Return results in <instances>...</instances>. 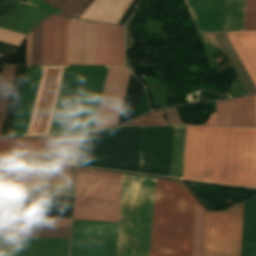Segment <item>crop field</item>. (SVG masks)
I'll return each instance as SVG.
<instances>
[{"instance_id":"1","label":"crop field","mask_w":256,"mask_h":256,"mask_svg":"<svg viewBox=\"0 0 256 256\" xmlns=\"http://www.w3.org/2000/svg\"><path fill=\"white\" fill-rule=\"evenodd\" d=\"M182 179L256 187V129L187 126Z\"/></svg>"},{"instance_id":"2","label":"crop field","mask_w":256,"mask_h":256,"mask_svg":"<svg viewBox=\"0 0 256 256\" xmlns=\"http://www.w3.org/2000/svg\"><path fill=\"white\" fill-rule=\"evenodd\" d=\"M194 206L182 183L156 179L149 256H191Z\"/></svg>"},{"instance_id":"3","label":"crop field","mask_w":256,"mask_h":256,"mask_svg":"<svg viewBox=\"0 0 256 256\" xmlns=\"http://www.w3.org/2000/svg\"><path fill=\"white\" fill-rule=\"evenodd\" d=\"M108 66H66L49 136L93 130Z\"/></svg>"},{"instance_id":"4","label":"crop field","mask_w":256,"mask_h":256,"mask_svg":"<svg viewBox=\"0 0 256 256\" xmlns=\"http://www.w3.org/2000/svg\"><path fill=\"white\" fill-rule=\"evenodd\" d=\"M154 184L123 174L116 256H148Z\"/></svg>"},{"instance_id":"5","label":"crop field","mask_w":256,"mask_h":256,"mask_svg":"<svg viewBox=\"0 0 256 256\" xmlns=\"http://www.w3.org/2000/svg\"><path fill=\"white\" fill-rule=\"evenodd\" d=\"M122 174L77 168L73 219L118 222Z\"/></svg>"},{"instance_id":"6","label":"crop field","mask_w":256,"mask_h":256,"mask_svg":"<svg viewBox=\"0 0 256 256\" xmlns=\"http://www.w3.org/2000/svg\"><path fill=\"white\" fill-rule=\"evenodd\" d=\"M141 127L114 128L80 139L78 164L138 172Z\"/></svg>"},{"instance_id":"7","label":"crop field","mask_w":256,"mask_h":256,"mask_svg":"<svg viewBox=\"0 0 256 256\" xmlns=\"http://www.w3.org/2000/svg\"><path fill=\"white\" fill-rule=\"evenodd\" d=\"M77 139L30 140L0 138L2 155L76 156ZM0 163L75 165L76 157L2 156Z\"/></svg>"},{"instance_id":"8","label":"crop field","mask_w":256,"mask_h":256,"mask_svg":"<svg viewBox=\"0 0 256 256\" xmlns=\"http://www.w3.org/2000/svg\"><path fill=\"white\" fill-rule=\"evenodd\" d=\"M244 202L221 212L207 211L204 256H239Z\"/></svg>"},{"instance_id":"9","label":"crop field","mask_w":256,"mask_h":256,"mask_svg":"<svg viewBox=\"0 0 256 256\" xmlns=\"http://www.w3.org/2000/svg\"><path fill=\"white\" fill-rule=\"evenodd\" d=\"M201 32L243 30L245 0H185Z\"/></svg>"},{"instance_id":"10","label":"crop field","mask_w":256,"mask_h":256,"mask_svg":"<svg viewBox=\"0 0 256 256\" xmlns=\"http://www.w3.org/2000/svg\"><path fill=\"white\" fill-rule=\"evenodd\" d=\"M174 126L142 127L139 172L170 177Z\"/></svg>"},{"instance_id":"11","label":"crop field","mask_w":256,"mask_h":256,"mask_svg":"<svg viewBox=\"0 0 256 256\" xmlns=\"http://www.w3.org/2000/svg\"><path fill=\"white\" fill-rule=\"evenodd\" d=\"M118 224L73 221L70 256H115Z\"/></svg>"},{"instance_id":"12","label":"crop field","mask_w":256,"mask_h":256,"mask_svg":"<svg viewBox=\"0 0 256 256\" xmlns=\"http://www.w3.org/2000/svg\"><path fill=\"white\" fill-rule=\"evenodd\" d=\"M64 67H43L27 135H48Z\"/></svg>"},{"instance_id":"13","label":"crop field","mask_w":256,"mask_h":256,"mask_svg":"<svg viewBox=\"0 0 256 256\" xmlns=\"http://www.w3.org/2000/svg\"><path fill=\"white\" fill-rule=\"evenodd\" d=\"M73 197L28 196L27 216L71 217ZM0 215L26 216V195H0Z\"/></svg>"},{"instance_id":"14","label":"crop field","mask_w":256,"mask_h":256,"mask_svg":"<svg viewBox=\"0 0 256 256\" xmlns=\"http://www.w3.org/2000/svg\"><path fill=\"white\" fill-rule=\"evenodd\" d=\"M75 167L0 165V183L74 185Z\"/></svg>"},{"instance_id":"15","label":"crop field","mask_w":256,"mask_h":256,"mask_svg":"<svg viewBox=\"0 0 256 256\" xmlns=\"http://www.w3.org/2000/svg\"><path fill=\"white\" fill-rule=\"evenodd\" d=\"M129 74L125 67L109 66L94 130L117 124Z\"/></svg>"},{"instance_id":"16","label":"crop field","mask_w":256,"mask_h":256,"mask_svg":"<svg viewBox=\"0 0 256 256\" xmlns=\"http://www.w3.org/2000/svg\"><path fill=\"white\" fill-rule=\"evenodd\" d=\"M67 62H96V23L68 18Z\"/></svg>"},{"instance_id":"17","label":"crop field","mask_w":256,"mask_h":256,"mask_svg":"<svg viewBox=\"0 0 256 256\" xmlns=\"http://www.w3.org/2000/svg\"><path fill=\"white\" fill-rule=\"evenodd\" d=\"M69 239L0 237V256H68Z\"/></svg>"},{"instance_id":"18","label":"crop field","mask_w":256,"mask_h":256,"mask_svg":"<svg viewBox=\"0 0 256 256\" xmlns=\"http://www.w3.org/2000/svg\"><path fill=\"white\" fill-rule=\"evenodd\" d=\"M67 18L43 21V64H66Z\"/></svg>"},{"instance_id":"19","label":"crop field","mask_w":256,"mask_h":256,"mask_svg":"<svg viewBox=\"0 0 256 256\" xmlns=\"http://www.w3.org/2000/svg\"><path fill=\"white\" fill-rule=\"evenodd\" d=\"M97 65H124V27L97 23Z\"/></svg>"},{"instance_id":"20","label":"crop field","mask_w":256,"mask_h":256,"mask_svg":"<svg viewBox=\"0 0 256 256\" xmlns=\"http://www.w3.org/2000/svg\"><path fill=\"white\" fill-rule=\"evenodd\" d=\"M0 8L8 10L0 21V28L25 35L34 25L51 15L22 5L16 0H0Z\"/></svg>"},{"instance_id":"21","label":"crop field","mask_w":256,"mask_h":256,"mask_svg":"<svg viewBox=\"0 0 256 256\" xmlns=\"http://www.w3.org/2000/svg\"><path fill=\"white\" fill-rule=\"evenodd\" d=\"M43 66H28L10 135L25 136Z\"/></svg>"},{"instance_id":"22","label":"crop field","mask_w":256,"mask_h":256,"mask_svg":"<svg viewBox=\"0 0 256 256\" xmlns=\"http://www.w3.org/2000/svg\"><path fill=\"white\" fill-rule=\"evenodd\" d=\"M132 0H95L80 18L118 24Z\"/></svg>"},{"instance_id":"23","label":"crop field","mask_w":256,"mask_h":256,"mask_svg":"<svg viewBox=\"0 0 256 256\" xmlns=\"http://www.w3.org/2000/svg\"><path fill=\"white\" fill-rule=\"evenodd\" d=\"M227 35L256 85V31L227 33Z\"/></svg>"},{"instance_id":"24","label":"crop field","mask_w":256,"mask_h":256,"mask_svg":"<svg viewBox=\"0 0 256 256\" xmlns=\"http://www.w3.org/2000/svg\"><path fill=\"white\" fill-rule=\"evenodd\" d=\"M240 256H256V198L245 202Z\"/></svg>"},{"instance_id":"25","label":"crop field","mask_w":256,"mask_h":256,"mask_svg":"<svg viewBox=\"0 0 256 256\" xmlns=\"http://www.w3.org/2000/svg\"><path fill=\"white\" fill-rule=\"evenodd\" d=\"M74 186L0 184V193L73 196Z\"/></svg>"},{"instance_id":"26","label":"crop field","mask_w":256,"mask_h":256,"mask_svg":"<svg viewBox=\"0 0 256 256\" xmlns=\"http://www.w3.org/2000/svg\"><path fill=\"white\" fill-rule=\"evenodd\" d=\"M231 126L255 127V95L231 100Z\"/></svg>"},{"instance_id":"27","label":"crop field","mask_w":256,"mask_h":256,"mask_svg":"<svg viewBox=\"0 0 256 256\" xmlns=\"http://www.w3.org/2000/svg\"><path fill=\"white\" fill-rule=\"evenodd\" d=\"M70 228L0 226V236L69 238Z\"/></svg>"},{"instance_id":"28","label":"crop field","mask_w":256,"mask_h":256,"mask_svg":"<svg viewBox=\"0 0 256 256\" xmlns=\"http://www.w3.org/2000/svg\"><path fill=\"white\" fill-rule=\"evenodd\" d=\"M142 86L143 84L131 74L119 122L135 116Z\"/></svg>"},{"instance_id":"29","label":"crop field","mask_w":256,"mask_h":256,"mask_svg":"<svg viewBox=\"0 0 256 256\" xmlns=\"http://www.w3.org/2000/svg\"><path fill=\"white\" fill-rule=\"evenodd\" d=\"M216 34H217V36H218L220 42L222 43L224 49L226 50V52H227L229 58L231 59V61H232L233 65H234V67L236 68V70H237L239 76L241 77L243 83L245 84V86H246L248 92H249V93L256 92V87H255V85L253 84V82H252L250 76L248 75V73H247L245 67L243 66V64H242V62H241V60H240V58L238 57V55H237L235 49L233 48L231 42L229 41V39H228L226 33H216ZM225 50H224V51H225ZM230 59H229V60H230ZM235 68H234V69H235ZM240 77H239V78H240ZM244 84H243V85H244ZM245 86H244V87H245Z\"/></svg>"},{"instance_id":"30","label":"crop field","mask_w":256,"mask_h":256,"mask_svg":"<svg viewBox=\"0 0 256 256\" xmlns=\"http://www.w3.org/2000/svg\"><path fill=\"white\" fill-rule=\"evenodd\" d=\"M206 210L196 201L192 256H203Z\"/></svg>"},{"instance_id":"31","label":"crop field","mask_w":256,"mask_h":256,"mask_svg":"<svg viewBox=\"0 0 256 256\" xmlns=\"http://www.w3.org/2000/svg\"><path fill=\"white\" fill-rule=\"evenodd\" d=\"M186 126H175L171 177L181 179Z\"/></svg>"},{"instance_id":"32","label":"crop field","mask_w":256,"mask_h":256,"mask_svg":"<svg viewBox=\"0 0 256 256\" xmlns=\"http://www.w3.org/2000/svg\"><path fill=\"white\" fill-rule=\"evenodd\" d=\"M71 218L21 217V226L70 227Z\"/></svg>"},{"instance_id":"33","label":"crop field","mask_w":256,"mask_h":256,"mask_svg":"<svg viewBox=\"0 0 256 256\" xmlns=\"http://www.w3.org/2000/svg\"><path fill=\"white\" fill-rule=\"evenodd\" d=\"M15 67L16 65H8L1 95H0V128H1L2 120H3V116H4L6 104H7V99H8Z\"/></svg>"},{"instance_id":"34","label":"crop field","mask_w":256,"mask_h":256,"mask_svg":"<svg viewBox=\"0 0 256 256\" xmlns=\"http://www.w3.org/2000/svg\"><path fill=\"white\" fill-rule=\"evenodd\" d=\"M32 64H42V23L32 31Z\"/></svg>"},{"instance_id":"35","label":"crop field","mask_w":256,"mask_h":256,"mask_svg":"<svg viewBox=\"0 0 256 256\" xmlns=\"http://www.w3.org/2000/svg\"><path fill=\"white\" fill-rule=\"evenodd\" d=\"M162 115H163V109L150 113L144 117L135 119L122 126L166 124L167 121L162 117Z\"/></svg>"},{"instance_id":"36","label":"crop field","mask_w":256,"mask_h":256,"mask_svg":"<svg viewBox=\"0 0 256 256\" xmlns=\"http://www.w3.org/2000/svg\"><path fill=\"white\" fill-rule=\"evenodd\" d=\"M216 125L230 126V100L216 102Z\"/></svg>"},{"instance_id":"37","label":"crop field","mask_w":256,"mask_h":256,"mask_svg":"<svg viewBox=\"0 0 256 256\" xmlns=\"http://www.w3.org/2000/svg\"><path fill=\"white\" fill-rule=\"evenodd\" d=\"M244 30H256V0H246Z\"/></svg>"},{"instance_id":"38","label":"crop field","mask_w":256,"mask_h":256,"mask_svg":"<svg viewBox=\"0 0 256 256\" xmlns=\"http://www.w3.org/2000/svg\"><path fill=\"white\" fill-rule=\"evenodd\" d=\"M25 35L0 29V41L18 46Z\"/></svg>"},{"instance_id":"39","label":"crop field","mask_w":256,"mask_h":256,"mask_svg":"<svg viewBox=\"0 0 256 256\" xmlns=\"http://www.w3.org/2000/svg\"><path fill=\"white\" fill-rule=\"evenodd\" d=\"M24 3V2H23ZM25 4L43 9L45 11L51 12V13H55V14H59L60 10L40 1V0H28Z\"/></svg>"},{"instance_id":"40","label":"crop field","mask_w":256,"mask_h":256,"mask_svg":"<svg viewBox=\"0 0 256 256\" xmlns=\"http://www.w3.org/2000/svg\"><path fill=\"white\" fill-rule=\"evenodd\" d=\"M170 124H183L180 122L178 108L165 109Z\"/></svg>"},{"instance_id":"41","label":"crop field","mask_w":256,"mask_h":256,"mask_svg":"<svg viewBox=\"0 0 256 256\" xmlns=\"http://www.w3.org/2000/svg\"><path fill=\"white\" fill-rule=\"evenodd\" d=\"M84 0H75L60 15L70 16Z\"/></svg>"},{"instance_id":"42","label":"crop field","mask_w":256,"mask_h":256,"mask_svg":"<svg viewBox=\"0 0 256 256\" xmlns=\"http://www.w3.org/2000/svg\"><path fill=\"white\" fill-rule=\"evenodd\" d=\"M202 36L204 37L208 44L218 48L220 51L223 52L213 33L202 34Z\"/></svg>"},{"instance_id":"43","label":"crop field","mask_w":256,"mask_h":256,"mask_svg":"<svg viewBox=\"0 0 256 256\" xmlns=\"http://www.w3.org/2000/svg\"><path fill=\"white\" fill-rule=\"evenodd\" d=\"M59 9H63L67 4H69L72 0H43Z\"/></svg>"},{"instance_id":"44","label":"crop field","mask_w":256,"mask_h":256,"mask_svg":"<svg viewBox=\"0 0 256 256\" xmlns=\"http://www.w3.org/2000/svg\"><path fill=\"white\" fill-rule=\"evenodd\" d=\"M140 0H134L133 3L131 4V6L129 7V9L127 10V12L125 13V15L123 16V18L121 19V21L119 22V24L124 25L125 22L127 21V19L129 18L130 14L132 13V11L134 10V8L136 7V5L138 4Z\"/></svg>"},{"instance_id":"45","label":"crop field","mask_w":256,"mask_h":256,"mask_svg":"<svg viewBox=\"0 0 256 256\" xmlns=\"http://www.w3.org/2000/svg\"><path fill=\"white\" fill-rule=\"evenodd\" d=\"M196 32H197V34H198V36H199V38H200L202 44H204L205 41H204L203 38L200 36L198 30H196ZM205 46H206V48H207V51H208V53H209V56L212 58V55H213V48L209 47V46L206 45V44H205Z\"/></svg>"},{"instance_id":"46","label":"crop field","mask_w":256,"mask_h":256,"mask_svg":"<svg viewBox=\"0 0 256 256\" xmlns=\"http://www.w3.org/2000/svg\"><path fill=\"white\" fill-rule=\"evenodd\" d=\"M205 124L215 125V112L209 116V119Z\"/></svg>"},{"instance_id":"47","label":"crop field","mask_w":256,"mask_h":256,"mask_svg":"<svg viewBox=\"0 0 256 256\" xmlns=\"http://www.w3.org/2000/svg\"><path fill=\"white\" fill-rule=\"evenodd\" d=\"M138 12H139V11H138ZM132 16H133V15H132ZM131 18H132V17H131ZM131 18H130V20H131ZM130 20H129V21H130ZM128 23H129V22H128ZM128 23H127V25H128Z\"/></svg>"},{"instance_id":"48","label":"crop field","mask_w":256,"mask_h":256,"mask_svg":"<svg viewBox=\"0 0 256 256\" xmlns=\"http://www.w3.org/2000/svg\"><path fill=\"white\" fill-rule=\"evenodd\" d=\"M2 55H0V57H1Z\"/></svg>"}]
</instances>
